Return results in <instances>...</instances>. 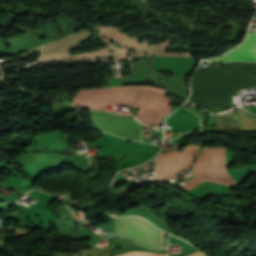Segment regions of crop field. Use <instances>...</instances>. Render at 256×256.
Segmentation results:
<instances>
[{
    "instance_id": "obj_1",
    "label": "crop field",
    "mask_w": 256,
    "mask_h": 256,
    "mask_svg": "<svg viewBox=\"0 0 256 256\" xmlns=\"http://www.w3.org/2000/svg\"><path fill=\"white\" fill-rule=\"evenodd\" d=\"M114 223L115 232L120 236L135 240L153 249H161L163 247L162 232L142 218L115 219Z\"/></svg>"
},
{
    "instance_id": "obj_2",
    "label": "crop field",
    "mask_w": 256,
    "mask_h": 256,
    "mask_svg": "<svg viewBox=\"0 0 256 256\" xmlns=\"http://www.w3.org/2000/svg\"><path fill=\"white\" fill-rule=\"evenodd\" d=\"M236 50L256 51V30L254 33L248 32L245 40ZM209 61H212V62L256 61V52L232 51L217 59H212Z\"/></svg>"
},
{
    "instance_id": "obj_3",
    "label": "crop field",
    "mask_w": 256,
    "mask_h": 256,
    "mask_svg": "<svg viewBox=\"0 0 256 256\" xmlns=\"http://www.w3.org/2000/svg\"><path fill=\"white\" fill-rule=\"evenodd\" d=\"M117 256H167V255L152 254V253H145V252H129V253H125L123 255H117ZM190 256H202V255L201 253L197 252Z\"/></svg>"
}]
</instances>
